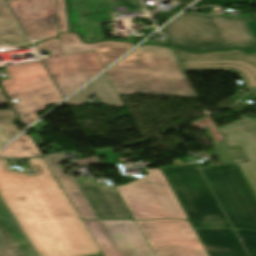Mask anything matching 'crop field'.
Returning <instances> with one entry per match:
<instances>
[{"instance_id":"crop-field-1","label":"crop field","mask_w":256,"mask_h":256,"mask_svg":"<svg viewBox=\"0 0 256 256\" xmlns=\"http://www.w3.org/2000/svg\"><path fill=\"white\" fill-rule=\"evenodd\" d=\"M34 175L17 173L0 159V192L40 256L100 254L63 189L43 157L28 159Z\"/></svg>"},{"instance_id":"crop-field-2","label":"crop field","mask_w":256,"mask_h":256,"mask_svg":"<svg viewBox=\"0 0 256 256\" xmlns=\"http://www.w3.org/2000/svg\"><path fill=\"white\" fill-rule=\"evenodd\" d=\"M106 72L119 95L197 97L170 48L140 46Z\"/></svg>"},{"instance_id":"crop-field-3","label":"crop field","mask_w":256,"mask_h":256,"mask_svg":"<svg viewBox=\"0 0 256 256\" xmlns=\"http://www.w3.org/2000/svg\"><path fill=\"white\" fill-rule=\"evenodd\" d=\"M161 31L169 45L192 50L256 48V40L243 16L227 18L225 14L202 16L185 12Z\"/></svg>"},{"instance_id":"crop-field-4","label":"crop field","mask_w":256,"mask_h":256,"mask_svg":"<svg viewBox=\"0 0 256 256\" xmlns=\"http://www.w3.org/2000/svg\"><path fill=\"white\" fill-rule=\"evenodd\" d=\"M161 169L194 228L231 227L198 166Z\"/></svg>"},{"instance_id":"crop-field-5","label":"crop field","mask_w":256,"mask_h":256,"mask_svg":"<svg viewBox=\"0 0 256 256\" xmlns=\"http://www.w3.org/2000/svg\"><path fill=\"white\" fill-rule=\"evenodd\" d=\"M5 69L11 79L2 83L11 99H19L20 103L15 106L26 124L38 119L35 113L44 110L45 106L63 100L41 61L7 66Z\"/></svg>"},{"instance_id":"crop-field-6","label":"crop field","mask_w":256,"mask_h":256,"mask_svg":"<svg viewBox=\"0 0 256 256\" xmlns=\"http://www.w3.org/2000/svg\"><path fill=\"white\" fill-rule=\"evenodd\" d=\"M202 170L233 226L256 230V196L238 164Z\"/></svg>"},{"instance_id":"crop-field-7","label":"crop field","mask_w":256,"mask_h":256,"mask_svg":"<svg viewBox=\"0 0 256 256\" xmlns=\"http://www.w3.org/2000/svg\"><path fill=\"white\" fill-rule=\"evenodd\" d=\"M128 186L118 187L136 219H188L161 169Z\"/></svg>"},{"instance_id":"crop-field-8","label":"crop field","mask_w":256,"mask_h":256,"mask_svg":"<svg viewBox=\"0 0 256 256\" xmlns=\"http://www.w3.org/2000/svg\"><path fill=\"white\" fill-rule=\"evenodd\" d=\"M37 46L52 52L43 60L65 97L104 69L95 51L62 55L59 38Z\"/></svg>"},{"instance_id":"crop-field-9","label":"crop field","mask_w":256,"mask_h":256,"mask_svg":"<svg viewBox=\"0 0 256 256\" xmlns=\"http://www.w3.org/2000/svg\"><path fill=\"white\" fill-rule=\"evenodd\" d=\"M158 256H209L189 221H138Z\"/></svg>"},{"instance_id":"crop-field-10","label":"crop field","mask_w":256,"mask_h":256,"mask_svg":"<svg viewBox=\"0 0 256 256\" xmlns=\"http://www.w3.org/2000/svg\"><path fill=\"white\" fill-rule=\"evenodd\" d=\"M66 3L70 30L80 34L84 42L105 39L99 24L114 20V7L124 5L130 11L145 9L141 0H66Z\"/></svg>"},{"instance_id":"crop-field-11","label":"crop field","mask_w":256,"mask_h":256,"mask_svg":"<svg viewBox=\"0 0 256 256\" xmlns=\"http://www.w3.org/2000/svg\"><path fill=\"white\" fill-rule=\"evenodd\" d=\"M171 50L183 71L235 70L241 74L250 90L256 89V54L239 50L199 54L176 48Z\"/></svg>"},{"instance_id":"crop-field-12","label":"crop field","mask_w":256,"mask_h":256,"mask_svg":"<svg viewBox=\"0 0 256 256\" xmlns=\"http://www.w3.org/2000/svg\"><path fill=\"white\" fill-rule=\"evenodd\" d=\"M31 39L43 40L59 33L55 0H8Z\"/></svg>"},{"instance_id":"crop-field-13","label":"crop field","mask_w":256,"mask_h":256,"mask_svg":"<svg viewBox=\"0 0 256 256\" xmlns=\"http://www.w3.org/2000/svg\"><path fill=\"white\" fill-rule=\"evenodd\" d=\"M75 180L99 219H133L115 187L96 184L92 178Z\"/></svg>"},{"instance_id":"crop-field-14","label":"crop field","mask_w":256,"mask_h":256,"mask_svg":"<svg viewBox=\"0 0 256 256\" xmlns=\"http://www.w3.org/2000/svg\"><path fill=\"white\" fill-rule=\"evenodd\" d=\"M219 130L227 135L229 147L241 145L244 148L250 161L239 166L256 194V121L244 118Z\"/></svg>"},{"instance_id":"crop-field-15","label":"crop field","mask_w":256,"mask_h":256,"mask_svg":"<svg viewBox=\"0 0 256 256\" xmlns=\"http://www.w3.org/2000/svg\"><path fill=\"white\" fill-rule=\"evenodd\" d=\"M118 250L127 256H155L134 220L101 221Z\"/></svg>"},{"instance_id":"crop-field-16","label":"crop field","mask_w":256,"mask_h":256,"mask_svg":"<svg viewBox=\"0 0 256 256\" xmlns=\"http://www.w3.org/2000/svg\"><path fill=\"white\" fill-rule=\"evenodd\" d=\"M0 256H38L1 197Z\"/></svg>"},{"instance_id":"crop-field-17","label":"crop field","mask_w":256,"mask_h":256,"mask_svg":"<svg viewBox=\"0 0 256 256\" xmlns=\"http://www.w3.org/2000/svg\"><path fill=\"white\" fill-rule=\"evenodd\" d=\"M60 41L62 54L95 50L104 68L135 45L113 41L84 44L74 33L60 34Z\"/></svg>"},{"instance_id":"crop-field-18","label":"crop field","mask_w":256,"mask_h":256,"mask_svg":"<svg viewBox=\"0 0 256 256\" xmlns=\"http://www.w3.org/2000/svg\"><path fill=\"white\" fill-rule=\"evenodd\" d=\"M210 256H247L233 229H195Z\"/></svg>"},{"instance_id":"crop-field-19","label":"crop field","mask_w":256,"mask_h":256,"mask_svg":"<svg viewBox=\"0 0 256 256\" xmlns=\"http://www.w3.org/2000/svg\"><path fill=\"white\" fill-rule=\"evenodd\" d=\"M44 159L51 168L53 174L56 176L58 183L69 197L81 219H97L73 179L70 176L65 175L59 167L58 164L63 161L62 159H66L65 155H49L45 156Z\"/></svg>"},{"instance_id":"crop-field-20","label":"crop field","mask_w":256,"mask_h":256,"mask_svg":"<svg viewBox=\"0 0 256 256\" xmlns=\"http://www.w3.org/2000/svg\"><path fill=\"white\" fill-rule=\"evenodd\" d=\"M0 42L12 46L30 44L5 0H0Z\"/></svg>"},{"instance_id":"crop-field-21","label":"crop field","mask_w":256,"mask_h":256,"mask_svg":"<svg viewBox=\"0 0 256 256\" xmlns=\"http://www.w3.org/2000/svg\"><path fill=\"white\" fill-rule=\"evenodd\" d=\"M40 155L30 136L23 134L0 152L2 157L22 158ZM42 155V154H41Z\"/></svg>"},{"instance_id":"crop-field-22","label":"crop field","mask_w":256,"mask_h":256,"mask_svg":"<svg viewBox=\"0 0 256 256\" xmlns=\"http://www.w3.org/2000/svg\"><path fill=\"white\" fill-rule=\"evenodd\" d=\"M89 85H91L95 93L99 95L103 104L124 106L106 72Z\"/></svg>"},{"instance_id":"crop-field-23","label":"crop field","mask_w":256,"mask_h":256,"mask_svg":"<svg viewBox=\"0 0 256 256\" xmlns=\"http://www.w3.org/2000/svg\"><path fill=\"white\" fill-rule=\"evenodd\" d=\"M97 242L104 256H125L119 253L99 221H83Z\"/></svg>"},{"instance_id":"crop-field-24","label":"crop field","mask_w":256,"mask_h":256,"mask_svg":"<svg viewBox=\"0 0 256 256\" xmlns=\"http://www.w3.org/2000/svg\"><path fill=\"white\" fill-rule=\"evenodd\" d=\"M250 256H256V231L236 229Z\"/></svg>"},{"instance_id":"crop-field-25","label":"crop field","mask_w":256,"mask_h":256,"mask_svg":"<svg viewBox=\"0 0 256 256\" xmlns=\"http://www.w3.org/2000/svg\"><path fill=\"white\" fill-rule=\"evenodd\" d=\"M60 32L68 31L67 13L64 0H56Z\"/></svg>"},{"instance_id":"crop-field-26","label":"crop field","mask_w":256,"mask_h":256,"mask_svg":"<svg viewBox=\"0 0 256 256\" xmlns=\"http://www.w3.org/2000/svg\"><path fill=\"white\" fill-rule=\"evenodd\" d=\"M214 148H215L218 156L222 160L223 164L236 163V161L234 160L233 156L231 155V153L227 149L224 142L214 143Z\"/></svg>"},{"instance_id":"crop-field-27","label":"crop field","mask_w":256,"mask_h":256,"mask_svg":"<svg viewBox=\"0 0 256 256\" xmlns=\"http://www.w3.org/2000/svg\"><path fill=\"white\" fill-rule=\"evenodd\" d=\"M92 95L91 90L87 86L82 91H80L78 94L73 96L71 99H69L67 102H65L67 105H83L86 102H88L87 98Z\"/></svg>"},{"instance_id":"crop-field-28","label":"crop field","mask_w":256,"mask_h":256,"mask_svg":"<svg viewBox=\"0 0 256 256\" xmlns=\"http://www.w3.org/2000/svg\"><path fill=\"white\" fill-rule=\"evenodd\" d=\"M3 103H6V101H5L3 95H2L1 92H0V104H3ZM2 113H3L4 115H1ZM12 117H14V114H13L12 111H3V110H0V120L9 119V118H12ZM6 142H7V141H6L5 137L3 136V134H2V132H1V130H0V147H1L4 143H6Z\"/></svg>"},{"instance_id":"crop-field-29","label":"crop field","mask_w":256,"mask_h":256,"mask_svg":"<svg viewBox=\"0 0 256 256\" xmlns=\"http://www.w3.org/2000/svg\"><path fill=\"white\" fill-rule=\"evenodd\" d=\"M2 128L9 140L19 133L14 124L4 125Z\"/></svg>"},{"instance_id":"crop-field-30","label":"crop field","mask_w":256,"mask_h":256,"mask_svg":"<svg viewBox=\"0 0 256 256\" xmlns=\"http://www.w3.org/2000/svg\"><path fill=\"white\" fill-rule=\"evenodd\" d=\"M72 165L78 164V165H92V164H98L100 161L97 159V157H92V158H86V159H81L77 161H72Z\"/></svg>"},{"instance_id":"crop-field-31","label":"crop field","mask_w":256,"mask_h":256,"mask_svg":"<svg viewBox=\"0 0 256 256\" xmlns=\"http://www.w3.org/2000/svg\"><path fill=\"white\" fill-rule=\"evenodd\" d=\"M256 38V21L247 22Z\"/></svg>"},{"instance_id":"crop-field-32","label":"crop field","mask_w":256,"mask_h":256,"mask_svg":"<svg viewBox=\"0 0 256 256\" xmlns=\"http://www.w3.org/2000/svg\"><path fill=\"white\" fill-rule=\"evenodd\" d=\"M206 132L208 133L209 137L211 138L212 142H216L215 138L213 137L212 133L210 132L209 128H205Z\"/></svg>"},{"instance_id":"crop-field-33","label":"crop field","mask_w":256,"mask_h":256,"mask_svg":"<svg viewBox=\"0 0 256 256\" xmlns=\"http://www.w3.org/2000/svg\"><path fill=\"white\" fill-rule=\"evenodd\" d=\"M35 167H36V170H34V171H38V170H40L39 166H35Z\"/></svg>"},{"instance_id":"crop-field-34","label":"crop field","mask_w":256,"mask_h":256,"mask_svg":"<svg viewBox=\"0 0 256 256\" xmlns=\"http://www.w3.org/2000/svg\"><path fill=\"white\" fill-rule=\"evenodd\" d=\"M255 93H256V91H255Z\"/></svg>"}]
</instances>
